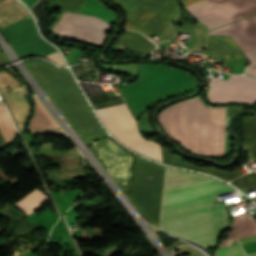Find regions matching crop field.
Wrapping results in <instances>:
<instances>
[{"instance_id":"8a807250","label":"crop field","mask_w":256,"mask_h":256,"mask_svg":"<svg viewBox=\"0 0 256 256\" xmlns=\"http://www.w3.org/2000/svg\"><path fill=\"white\" fill-rule=\"evenodd\" d=\"M234 189L195 173L166 167L159 223L225 209H210L215 194ZM227 224L226 210L159 224L204 248L216 244Z\"/></svg>"},{"instance_id":"ac0d7876","label":"crop field","mask_w":256,"mask_h":256,"mask_svg":"<svg viewBox=\"0 0 256 256\" xmlns=\"http://www.w3.org/2000/svg\"><path fill=\"white\" fill-rule=\"evenodd\" d=\"M185 8L211 29L255 14L256 0H203ZM254 24L256 15L211 30L210 33L228 34ZM228 35L233 36L243 52L256 48V25Z\"/></svg>"},{"instance_id":"34b2d1b8","label":"crop field","mask_w":256,"mask_h":256,"mask_svg":"<svg viewBox=\"0 0 256 256\" xmlns=\"http://www.w3.org/2000/svg\"><path fill=\"white\" fill-rule=\"evenodd\" d=\"M201 100H184L163 110L159 123L164 131L188 151L198 154Z\"/></svg>"},{"instance_id":"412701ff","label":"crop field","mask_w":256,"mask_h":256,"mask_svg":"<svg viewBox=\"0 0 256 256\" xmlns=\"http://www.w3.org/2000/svg\"><path fill=\"white\" fill-rule=\"evenodd\" d=\"M106 128L127 147L161 161L159 144L142 138L125 104L96 110Z\"/></svg>"},{"instance_id":"f4fd0767","label":"crop field","mask_w":256,"mask_h":256,"mask_svg":"<svg viewBox=\"0 0 256 256\" xmlns=\"http://www.w3.org/2000/svg\"><path fill=\"white\" fill-rule=\"evenodd\" d=\"M109 25L93 16L63 12L53 31L59 36L102 45Z\"/></svg>"},{"instance_id":"dd49c442","label":"crop field","mask_w":256,"mask_h":256,"mask_svg":"<svg viewBox=\"0 0 256 256\" xmlns=\"http://www.w3.org/2000/svg\"><path fill=\"white\" fill-rule=\"evenodd\" d=\"M1 32L8 40L19 58L44 56L56 51L39 36L31 16H27L3 29Z\"/></svg>"},{"instance_id":"e52e79f7","label":"crop field","mask_w":256,"mask_h":256,"mask_svg":"<svg viewBox=\"0 0 256 256\" xmlns=\"http://www.w3.org/2000/svg\"><path fill=\"white\" fill-rule=\"evenodd\" d=\"M212 103H256V80L242 75H231L228 81L212 78L208 93Z\"/></svg>"},{"instance_id":"d8731c3e","label":"crop field","mask_w":256,"mask_h":256,"mask_svg":"<svg viewBox=\"0 0 256 256\" xmlns=\"http://www.w3.org/2000/svg\"><path fill=\"white\" fill-rule=\"evenodd\" d=\"M225 108L202 103L199 155L222 156Z\"/></svg>"},{"instance_id":"5a996713","label":"crop field","mask_w":256,"mask_h":256,"mask_svg":"<svg viewBox=\"0 0 256 256\" xmlns=\"http://www.w3.org/2000/svg\"><path fill=\"white\" fill-rule=\"evenodd\" d=\"M5 86L17 87L22 85L13 75H11L6 70L0 71V89L20 128L22 121L28 111V104L23 98L25 89L24 87H18V88H15L16 91H12L8 93Z\"/></svg>"},{"instance_id":"3316defc","label":"crop field","mask_w":256,"mask_h":256,"mask_svg":"<svg viewBox=\"0 0 256 256\" xmlns=\"http://www.w3.org/2000/svg\"><path fill=\"white\" fill-rule=\"evenodd\" d=\"M206 49L209 50L213 58L236 59L245 57L232 36L209 35Z\"/></svg>"},{"instance_id":"28ad6ade","label":"crop field","mask_w":256,"mask_h":256,"mask_svg":"<svg viewBox=\"0 0 256 256\" xmlns=\"http://www.w3.org/2000/svg\"><path fill=\"white\" fill-rule=\"evenodd\" d=\"M174 32L194 33L190 48L205 47L208 28L199 21L193 25H171L161 41L170 40Z\"/></svg>"},{"instance_id":"d1516ede","label":"crop field","mask_w":256,"mask_h":256,"mask_svg":"<svg viewBox=\"0 0 256 256\" xmlns=\"http://www.w3.org/2000/svg\"><path fill=\"white\" fill-rule=\"evenodd\" d=\"M161 152H162L163 162H165V163H168V164H171L174 166H178V167H182V168L206 172V173L215 175L225 181H230L234 178H237V177L243 175L237 169L234 170L233 172H227V171H219V170H215V169H210V168H206V167L194 166V165H190V164H184V163L180 162L176 157H174L171 153L166 151L162 146H161Z\"/></svg>"},{"instance_id":"22f410ed","label":"crop field","mask_w":256,"mask_h":256,"mask_svg":"<svg viewBox=\"0 0 256 256\" xmlns=\"http://www.w3.org/2000/svg\"><path fill=\"white\" fill-rule=\"evenodd\" d=\"M116 45L132 48L146 55L153 51L155 47V45L149 42L143 35L134 31H123Z\"/></svg>"},{"instance_id":"cbeb9de0","label":"crop field","mask_w":256,"mask_h":256,"mask_svg":"<svg viewBox=\"0 0 256 256\" xmlns=\"http://www.w3.org/2000/svg\"><path fill=\"white\" fill-rule=\"evenodd\" d=\"M29 15L28 11L16 0L0 2V29Z\"/></svg>"},{"instance_id":"5142ce71","label":"crop field","mask_w":256,"mask_h":256,"mask_svg":"<svg viewBox=\"0 0 256 256\" xmlns=\"http://www.w3.org/2000/svg\"><path fill=\"white\" fill-rule=\"evenodd\" d=\"M33 100V115L27 127L60 129L41 105L37 97H33Z\"/></svg>"},{"instance_id":"d9b57169","label":"crop field","mask_w":256,"mask_h":256,"mask_svg":"<svg viewBox=\"0 0 256 256\" xmlns=\"http://www.w3.org/2000/svg\"><path fill=\"white\" fill-rule=\"evenodd\" d=\"M48 199L49 197L35 189L14 204L28 215Z\"/></svg>"},{"instance_id":"733c2abd","label":"crop field","mask_w":256,"mask_h":256,"mask_svg":"<svg viewBox=\"0 0 256 256\" xmlns=\"http://www.w3.org/2000/svg\"><path fill=\"white\" fill-rule=\"evenodd\" d=\"M256 135V122L250 117H244V141ZM250 154L256 158V136L244 142Z\"/></svg>"},{"instance_id":"4a817a6b","label":"crop field","mask_w":256,"mask_h":256,"mask_svg":"<svg viewBox=\"0 0 256 256\" xmlns=\"http://www.w3.org/2000/svg\"><path fill=\"white\" fill-rule=\"evenodd\" d=\"M88 98L90 99L94 109L124 103L121 96L110 98L107 92L89 95Z\"/></svg>"},{"instance_id":"bc2a9ffb","label":"crop field","mask_w":256,"mask_h":256,"mask_svg":"<svg viewBox=\"0 0 256 256\" xmlns=\"http://www.w3.org/2000/svg\"><path fill=\"white\" fill-rule=\"evenodd\" d=\"M256 234V221L253 219L235 229H233L231 232L227 233L226 239L220 241L219 244H223L226 241H229L231 239H236L243 236L253 235Z\"/></svg>"},{"instance_id":"214f88e0","label":"crop field","mask_w":256,"mask_h":256,"mask_svg":"<svg viewBox=\"0 0 256 256\" xmlns=\"http://www.w3.org/2000/svg\"><path fill=\"white\" fill-rule=\"evenodd\" d=\"M2 108H5V106L0 103V109H2ZM5 110H6V108H5ZM5 110L2 109V110H0V111H1V113H2V115H3V117H4V120H5L6 124L9 125V124L12 123V121H11V119H10V121H11V123H10V121H9V119H8V117H7V114H8V113L6 114L7 110H6V112H5ZM1 113H0V125H1V127H2V129H3V131L6 132V131H12V130H14V129H15V128L13 129L14 126L12 127L13 123H12V125L6 126V124H5V122H4L3 118H2ZM8 116H9V115H8ZM9 118H10V117H9ZM1 127H0V129H1ZM2 129H1V131H2ZM3 131H2V133H3ZM16 133H17L16 130H15V131H12V132L3 133V135H4V137H5L6 141H7V143H10L11 141L14 140V138H15V136H16Z\"/></svg>"},{"instance_id":"92a150f3","label":"crop field","mask_w":256,"mask_h":256,"mask_svg":"<svg viewBox=\"0 0 256 256\" xmlns=\"http://www.w3.org/2000/svg\"><path fill=\"white\" fill-rule=\"evenodd\" d=\"M214 256H246L240 244L216 249ZM256 256V254L250 255Z\"/></svg>"},{"instance_id":"dafd665d","label":"crop field","mask_w":256,"mask_h":256,"mask_svg":"<svg viewBox=\"0 0 256 256\" xmlns=\"http://www.w3.org/2000/svg\"><path fill=\"white\" fill-rule=\"evenodd\" d=\"M71 70L76 75L77 79H81L97 71L91 61L74 66Z\"/></svg>"},{"instance_id":"00972430","label":"crop field","mask_w":256,"mask_h":256,"mask_svg":"<svg viewBox=\"0 0 256 256\" xmlns=\"http://www.w3.org/2000/svg\"><path fill=\"white\" fill-rule=\"evenodd\" d=\"M231 184L243 189L256 185V173L247 175L231 182Z\"/></svg>"},{"instance_id":"a9b5d70f","label":"crop field","mask_w":256,"mask_h":256,"mask_svg":"<svg viewBox=\"0 0 256 256\" xmlns=\"http://www.w3.org/2000/svg\"><path fill=\"white\" fill-rule=\"evenodd\" d=\"M30 133L37 134V133H53L59 135H65L62 130H53V129H35V128H27Z\"/></svg>"},{"instance_id":"4177f3b9","label":"crop field","mask_w":256,"mask_h":256,"mask_svg":"<svg viewBox=\"0 0 256 256\" xmlns=\"http://www.w3.org/2000/svg\"><path fill=\"white\" fill-rule=\"evenodd\" d=\"M45 58L59 64V65H62V66H65V63L61 57V55L58 53V51L54 52V53H51L49 55H46L44 56Z\"/></svg>"},{"instance_id":"730fd06b","label":"crop field","mask_w":256,"mask_h":256,"mask_svg":"<svg viewBox=\"0 0 256 256\" xmlns=\"http://www.w3.org/2000/svg\"><path fill=\"white\" fill-rule=\"evenodd\" d=\"M245 55L248 57V59L251 61V63L256 61V49L245 52Z\"/></svg>"},{"instance_id":"eef30255","label":"crop field","mask_w":256,"mask_h":256,"mask_svg":"<svg viewBox=\"0 0 256 256\" xmlns=\"http://www.w3.org/2000/svg\"><path fill=\"white\" fill-rule=\"evenodd\" d=\"M241 244H248L256 241V235L239 239Z\"/></svg>"},{"instance_id":"ae1a2a85","label":"crop field","mask_w":256,"mask_h":256,"mask_svg":"<svg viewBox=\"0 0 256 256\" xmlns=\"http://www.w3.org/2000/svg\"><path fill=\"white\" fill-rule=\"evenodd\" d=\"M245 72L252 75V76H255L256 75V63L247 66Z\"/></svg>"},{"instance_id":"d3111659","label":"crop field","mask_w":256,"mask_h":256,"mask_svg":"<svg viewBox=\"0 0 256 256\" xmlns=\"http://www.w3.org/2000/svg\"><path fill=\"white\" fill-rule=\"evenodd\" d=\"M197 1H200V0H183V4H184V6H186V5L195 3Z\"/></svg>"},{"instance_id":"750c4746","label":"crop field","mask_w":256,"mask_h":256,"mask_svg":"<svg viewBox=\"0 0 256 256\" xmlns=\"http://www.w3.org/2000/svg\"><path fill=\"white\" fill-rule=\"evenodd\" d=\"M6 61H7L6 58L0 52V63L6 62Z\"/></svg>"},{"instance_id":"bd1437ed","label":"crop field","mask_w":256,"mask_h":256,"mask_svg":"<svg viewBox=\"0 0 256 256\" xmlns=\"http://www.w3.org/2000/svg\"><path fill=\"white\" fill-rule=\"evenodd\" d=\"M5 144V142H4V140H3V138H2V136H1V134H0V147L2 146V145H4Z\"/></svg>"},{"instance_id":"1d83c4d3","label":"crop field","mask_w":256,"mask_h":256,"mask_svg":"<svg viewBox=\"0 0 256 256\" xmlns=\"http://www.w3.org/2000/svg\"><path fill=\"white\" fill-rule=\"evenodd\" d=\"M254 78H256V77H254Z\"/></svg>"}]
</instances>
